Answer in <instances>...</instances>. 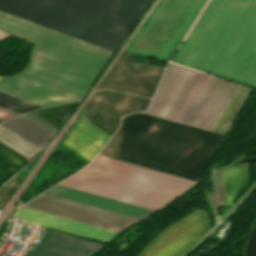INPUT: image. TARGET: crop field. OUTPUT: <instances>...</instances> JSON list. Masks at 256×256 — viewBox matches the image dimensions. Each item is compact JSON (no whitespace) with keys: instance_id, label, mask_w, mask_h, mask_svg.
<instances>
[{"instance_id":"crop-field-1","label":"crop field","mask_w":256,"mask_h":256,"mask_svg":"<svg viewBox=\"0 0 256 256\" xmlns=\"http://www.w3.org/2000/svg\"><path fill=\"white\" fill-rule=\"evenodd\" d=\"M222 137L135 113L97 157L194 182ZM97 157L59 185L157 210L194 184Z\"/></svg>"},{"instance_id":"crop-field-12","label":"crop field","mask_w":256,"mask_h":256,"mask_svg":"<svg viewBox=\"0 0 256 256\" xmlns=\"http://www.w3.org/2000/svg\"><path fill=\"white\" fill-rule=\"evenodd\" d=\"M198 71L169 64L147 113L170 119Z\"/></svg>"},{"instance_id":"crop-field-16","label":"crop field","mask_w":256,"mask_h":256,"mask_svg":"<svg viewBox=\"0 0 256 256\" xmlns=\"http://www.w3.org/2000/svg\"><path fill=\"white\" fill-rule=\"evenodd\" d=\"M44 193L142 219L155 211L59 185Z\"/></svg>"},{"instance_id":"crop-field-23","label":"crop field","mask_w":256,"mask_h":256,"mask_svg":"<svg viewBox=\"0 0 256 256\" xmlns=\"http://www.w3.org/2000/svg\"><path fill=\"white\" fill-rule=\"evenodd\" d=\"M28 116H30L31 118L35 119L36 121H38L39 123H41L42 125H44L45 127L49 128L50 130H52L53 132L56 133L57 129L55 126L51 125L50 123H48L47 121L43 120L42 118H40L39 116L35 115L34 113L30 112V113H26Z\"/></svg>"},{"instance_id":"crop-field-27","label":"crop field","mask_w":256,"mask_h":256,"mask_svg":"<svg viewBox=\"0 0 256 256\" xmlns=\"http://www.w3.org/2000/svg\"><path fill=\"white\" fill-rule=\"evenodd\" d=\"M1 42V41H0Z\"/></svg>"},{"instance_id":"crop-field-8","label":"crop field","mask_w":256,"mask_h":256,"mask_svg":"<svg viewBox=\"0 0 256 256\" xmlns=\"http://www.w3.org/2000/svg\"><path fill=\"white\" fill-rule=\"evenodd\" d=\"M151 99L118 93L110 90L98 91L80 117L103 130L114 133L121 116L145 110ZM130 114V113H129Z\"/></svg>"},{"instance_id":"crop-field-9","label":"crop field","mask_w":256,"mask_h":256,"mask_svg":"<svg viewBox=\"0 0 256 256\" xmlns=\"http://www.w3.org/2000/svg\"><path fill=\"white\" fill-rule=\"evenodd\" d=\"M135 53L126 52L98 87L151 97L164 70L132 62Z\"/></svg>"},{"instance_id":"crop-field-3","label":"crop field","mask_w":256,"mask_h":256,"mask_svg":"<svg viewBox=\"0 0 256 256\" xmlns=\"http://www.w3.org/2000/svg\"><path fill=\"white\" fill-rule=\"evenodd\" d=\"M174 62L256 88V0H211Z\"/></svg>"},{"instance_id":"crop-field-22","label":"crop field","mask_w":256,"mask_h":256,"mask_svg":"<svg viewBox=\"0 0 256 256\" xmlns=\"http://www.w3.org/2000/svg\"><path fill=\"white\" fill-rule=\"evenodd\" d=\"M0 107H3L5 109L11 110L16 113H24L37 108H41L1 92H0Z\"/></svg>"},{"instance_id":"crop-field-2","label":"crop field","mask_w":256,"mask_h":256,"mask_svg":"<svg viewBox=\"0 0 256 256\" xmlns=\"http://www.w3.org/2000/svg\"><path fill=\"white\" fill-rule=\"evenodd\" d=\"M0 29L36 44L29 65L2 78L0 91L41 107L79 100L113 54L1 11Z\"/></svg>"},{"instance_id":"crop-field-26","label":"crop field","mask_w":256,"mask_h":256,"mask_svg":"<svg viewBox=\"0 0 256 256\" xmlns=\"http://www.w3.org/2000/svg\"><path fill=\"white\" fill-rule=\"evenodd\" d=\"M1 78V77H0Z\"/></svg>"},{"instance_id":"crop-field-17","label":"crop field","mask_w":256,"mask_h":256,"mask_svg":"<svg viewBox=\"0 0 256 256\" xmlns=\"http://www.w3.org/2000/svg\"><path fill=\"white\" fill-rule=\"evenodd\" d=\"M110 137L79 118L62 143L91 161Z\"/></svg>"},{"instance_id":"crop-field-25","label":"crop field","mask_w":256,"mask_h":256,"mask_svg":"<svg viewBox=\"0 0 256 256\" xmlns=\"http://www.w3.org/2000/svg\"><path fill=\"white\" fill-rule=\"evenodd\" d=\"M7 37H9V35H7V34H5V33H3V32L0 31V40H1V41L4 40V39H6Z\"/></svg>"},{"instance_id":"crop-field-21","label":"crop field","mask_w":256,"mask_h":256,"mask_svg":"<svg viewBox=\"0 0 256 256\" xmlns=\"http://www.w3.org/2000/svg\"><path fill=\"white\" fill-rule=\"evenodd\" d=\"M77 104L78 102L51 106L33 112L60 128Z\"/></svg>"},{"instance_id":"crop-field-11","label":"crop field","mask_w":256,"mask_h":256,"mask_svg":"<svg viewBox=\"0 0 256 256\" xmlns=\"http://www.w3.org/2000/svg\"><path fill=\"white\" fill-rule=\"evenodd\" d=\"M54 134L25 114L0 122V143L25 156L28 161Z\"/></svg>"},{"instance_id":"crop-field-10","label":"crop field","mask_w":256,"mask_h":256,"mask_svg":"<svg viewBox=\"0 0 256 256\" xmlns=\"http://www.w3.org/2000/svg\"><path fill=\"white\" fill-rule=\"evenodd\" d=\"M237 85L209 76L182 123L211 130Z\"/></svg>"},{"instance_id":"crop-field-4","label":"crop field","mask_w":256,"mask_h":256,"mask_svg":"<svg viewBox=\"0 0 256 256\" xmlns=\"http://www.w3.org/2000/svg\"><path fill=\"white\" fill-rule=\"evenodd\" d=\"M152 0H0V10L116 51Z\"/></svg>"},{"instance_id":"crop-field-15","label":"crop field","mask_w":256,"mask_h":256,"mask_svg":"<svg viewBox=\"0 0 256 256\" xmlns=\"http://www.w3.org/2000/svg\"><path fill=\"white\" fill-rule=\"evenodd\" d=\"M218 175L219 171H215L211 177L213 192L209 194L210 200L215 208L229 206L228 204L231 205L243 191L250 177L249 164L220 170V176L218 177ZM217 177L219 191L223 200L228 204L222 200V197L219 194Z\"/></svg>"},{"instance_id":"crop-field-7","label":"crop field","mask_w":256,"mask_h":256,"mask_svg":"<svg viewBox=\"0 0 256 256\" xmlns=\"http://www.w3.org/2000/svg\"><path fill=\"white\" fill-rule=\"evenodd\" d=\"M208 231L207 218L199 209L164 230L139 256H181Z\"/></svg>"},{"instance_id":"crop-field-18","label":"crop field","mask_w":256,"mask_h":256,"mask_svg":"<svg viewBox=\"0 0 256 256\" xmlns=\"http://www.w3.org/2000/svg\"><path fill=\"white\" fill-rule=\"evenodd\" d=\"M248 92L249 89L238 86L237 90L213 126L212 131L224 134Z\"/></svg>"},{"instance_id":"crop-field-14","label":"crop field","mask_w":256,"mask_h":256,"mask_svg":"<svg viewBox=\"0 0 256 256\" xmlns=\"http://www.w3.org/2000/svg\"><path fill=\"white\" fill-rule=\"evenodd\" d=\"M16 218L50 228L53 227L61 229L108 243H110L112 239L118 234V232L106 230L103 228L87 225L84 223L72 221L69 219L57 217L54 215L38 212L23 207L19 209Z\"/></svg>"},{"instance_id":"crop-field-6","label":"crop field","mask_w":256,"mask_h":256,"mask_svg":"<svg viewBox=\"0 0 256 256\" xmlns=\"http://www.w3.org/2000/svg\"><path fill=\"white\" fill-rule=\"evenodd\" d=\"M45 194V193H44ZM40 195L23 207L39 210L42 212L58 215L61 217L81 221L84 223L100 226L103 228L123 231L140 219L124 216L121 214L105 211L102 209L82 205L79 203L63 200L60 198Z\"/></svg>"},{"instance_id":"crop-field-19","label":"crop field","mask_w":256,"mask_h":256,"mask_svg":"<svg viewBox=\"0 0 256 256\" xmlns=\"http://www.w3.org/2000/svg\"><path fill=\"white\" fill-rule=\"evenodd\" d=\"M26 162L25 157L0 144V184Z\"/></svg>"},{"instance_id":"crop-field-20","label":"crop field","mask_w":256,"mask_h":256,"mask_svg":"<svg viewBox=\"0 0 256 256\" xmlns=\"http://www.w3.org/2000/svg\"><path fill=\"white\" fill-rule=\"evenodd\" d=\"M208 75L199 72L198 76L194 80L193 84L189 88L188 92L184 96L183 100L179 104L178 108L174 112L171 120L181 122L182 118L186 114L187 110L189 109L190 105L194 101L195 97L199 93L200 89L202 88L203 84L207 80Z\"/></svg>"},{"instance_id":"crop-field-24","label":"crop field","mask_w":256,"mask_h":256,"mask_svg":"<svg viewBox=\"0 0 256 256\" xmlns=\"http://www.w3.org/2000/svg\"><path fill=\"white\" fill-rule=\"evenodd\" d=\"M13 115H17V114H14V113L8 112L6 110L0 109V121H2V119L6 118V117H10V116H13Z\"/></svg>"},{"instance_id":"crop-field-13","label":"crop field","mask_w":256,"mask_h":256,"mask_svg":"<svg viewBox=\"0 0 256 256\" xmlns=\"http://www.w3.org/2000/svg\"><path fill=\"white\" fill-rule=\"evenodd\" d=\"M105 246L48 229L31 256H92Z\"/></svg>"},{"instance_id":"crop-field-5","label":"crop field","mask_w":256,"mask_h":256,"mask_svg":"<svg viewBox=\"0 0 256 256\" xmlns=\"http://www.w3.org/2000/svg\"><path fill=\"white\" fill-rule=\"evenodd\" d=\"M207 0H161L127 51L168 60Z\"/></svg>"}]
</instances>
